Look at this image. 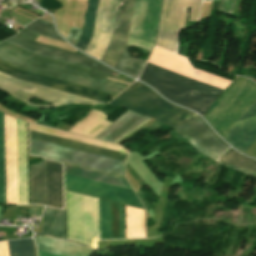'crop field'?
<instances>
[{"mask_svg": "<svg viewBox=\"0 0 256 256\" xmlns=\"http://www.w3.org/2000/svg\"><path fill=\"white\" fill-rule=\"evenodd\" d=\"M0 72L4 73L10 77L59 90L65 93L97 101L106 104L108 100H105L109 94L98 92L95 90L87 89L49 77L41 76L31 72L17 69L6 63L0 61ZM0 73V89L24 100L28 105L36 107H56L63 104H69L71 102L77 104H100L62 92H58L52 89L20 81L17 79L10 78L4 74ZM37 98L46 102L52 103V105H39L29 100Z\"/></svg>", "mask_w": 256, "mask_h": 256, "instance_id": "obj_1", "label": "crop field"}, {"mask_svg": "<svg viewBox=\"0 0 256 256\" xmlns=\"http://www.w3.org/2000/svg\"><path fill=\"white\" fill-rule=\"evenodd\" d=\"M0 59L20 68L49 75L116 95L121 93L125 88L128 87V85H130L129 83L121 81L118 82L128 85L115 82L117 80L111 81L113 79L108 80L109 78H106L110 76L107 75L29 54L5 42L0 44Z\"/></svg>", "mask_w": 256, "mask_h": 256, "instance_id": "obj_2", "label": "crop field"}, {"mask_svg": "<svg viewBox=\"0 0 256 256\" xmlns=\"http://www.w3.org/2000/svg\"><path fill=\"white\" fill-rule=\"evenodd\" d=\"M140 80L157 89L169 100L202 116L224 90L185 78L147 63Z\"/></svg>", "mask_w": 256, "mask_h": 256, "instance_id": "obj_3", "label": "crop field"}, {"mask_svg": "<svg viewBox=\"0 0 256 256\" xmlns=\"http://www.w3.org/2000/svg\"><path fill=\"white\" fill-rule=\"evenodd\" d=\"M161 2L162 0H135L127 44L151 51L155 42ZM129 47L125 45L114 68L138 77L146 61L129 57Z\"/></svg>", "mask_w": 256, "mask_h": 256, "instance_id": "obj_4", "label": "crop field"}, {"mask_svg": "<svg viewBox=\"0 0 256 256\" xmlns=\"http://www.w3.org/2000/svg\"><path fill=\"white\" fill-rule=\"evenodd\" d=\"M156 119L170 127H175L196 114L174 106L150 88L135 82L111 103Z\"/></svg>", "mask_w": 256, "mask_h": 256, "instance_id": "obj_5", "label": "crop field"}, {"mask_svg": "<svg viewBox=\"0 0 256 256\" xmlns=\"http://www.w3.org/2000/svg\"><path fill=\"white\" fill-rule=\"evenodd\" d=\"M255 99L256 84L247 78L240 77L214 103L204 118L224 137Z\"/></svg>", "mask_w": 256, "mask_h": 256, "instance_id": "obj_6", "label": "crop field"}, {"mask_svg": "<svg viewBox=\"0 0 256 256\" xmlns=\"http://www.w3.org/2000/svg\"><path fill=\"white\" fill-rule=\"evenodd\" d=\"M68 240L96 247L98 199L66 191Z\"/></svg>", "mask_w": 256, "mask_h": 256, "instance_id": "obj_7", "label": "crop field"}, {"mask_svg": "<svg viewBox=\"0 0 256 256\" xmlns=\"http://www.w3.org/2000/svg\"><path fill=\"white\" fill-rule=\"evenodd\" d=\"M30 154L124 177L125 162L30 139Z\"/></svg>", "mask_w": 256, "mask_h": 256, "instance_id": "obj_8", "label": "crop field"}, {"mask_svg": "<svg viewBox=\"0 0 256 256\" xmlns=\"http://www.w3.org/2000/svg\"><path fill=\"white\" fill-rule=\"evenodd\" d=\"M191 2L189 20H197L201 0H164L155 44L175 52L178 29L184 28Z\"/></svg>", "mask_w": 256, "mask_h": 256, "instance_id": "obj_9", "label": "crop field"}, {"mask_svg": "<svg viewBox=\"0 0 256 256\" xmlns=\"http://www.w3.org/2000/svg\"><path fill=\"white\" fill-rule=\"evenodd\" d=\"M173 129L197 151L213 159H217L228 148L198 115Z\"/></svg>", "mask_w": 256, "mask_h": 256, "instance_id": "obj_10", "label": "crop field"}, {"mask_svg": "<svg viewBox=\"0 0 256 256\" xmlns=\"http://www.w3.org/2000/svg\"><path fill=\"white\" fill-rule=\"evenodd\" d=\"M65 189L143 207L131 189L64 173Z\"/></svg>", "mask_w": 256, "mask_h": 256, "instance_id": "obj_11", "label": "crop field"}, {"mask_svg": "<svg viewBox=\"0 0 256 256\" xmlns=\"http://www.w3.org/2000/svg\"><path fill=\"white\" fill-rule=\"evenodd\" d=\"M6 42L25 49L29 52L36 53L39 55L47 56L57 60L65 61L82 67L90 68L100 72L111 74V69L105 67L104 65L98 63L97 61L81 54L70 52L67 50L59 49L49 45L41 44L33 41L29 38L17 34ZM116 73V72H114ZM118 74V73H117Z\"/></svg>", "mask_w": 256, "mask_h": 256, "instance_id": "obj_12", "label": "crop field"}, {"mask_svg": "<svg viewBox=\"0 0 256 256\" xmlns=\"http://www.w3.org/2000/svg\"><path fill=\"white\" fill-rule=\"evenodd\" d=\"M118 0H100L93 37L86 53L101 59L112 36Z\"/></svg>", "mask_w": 256, "mask_h": 256, "instance_id": "obj_13", "label": "crop field"}, {"mask_svg": "<svg viewBox=\"0 0 256 256\" xmlns=\"http://www.w3.org/2000/svg\"><path fill=\"white\" fill-rule=\"evenodd\" d=\"M133 6L134 0H119L112 40L102 58L113 67L128 38Z\"/></svg>", "mask_w": 256, "mask_h": 256, "instance_id": "obj_14", "label": "crop field"}, {"mask_svg": "<svg viewBox=\"0 0 256 256\" xmlns=\"http://www.w3.org/2000/svg\"><path fill=\"white\" fill-rule=\"evenodd\" d=\"M255 137L256 101L241 115L224 138L244 153Z\"/></svg>", "mask_w": 256, "mask_h": 256, "instance_id": "obj_15", "label": "crop field"}, {"mask_svg": "<svg viewBox=\"0 0 256 256\" xmlns=\"http://www.w3.org/2000/svg\"><path fill=\"white\" fill-rule=\"evenodd\" d=\"M149 119L150 118L129 110L114 121L96 138L116 143Z\"/></svg>", "mask_w": 256, "mask_h": 256, "instance_id": "obj_16", "label": "crop field"}, {"mask_svg": "<svg viewBox=\"0 0 256 256\" xmlns=\"http://www.w3.org/2000/svg\"><path fill=\"white\" fill-rule=\"evenodd\" d=\"M19 204H28L26 123L17 119Z\"/></svg>", "mask_w": 256, "mask_h": 256, "instance_id": "obj_17", "label": "crop field"}, {"mask_svg": "<svg viewBox=\"0 0 256 256\" xmlns=\"http://www.w3.org/2000/svg\"><path fill=\"white\" fill-rule=\"evenodd\" d=\"M47 205L63 208L62 164L46 160Z\"/></svg>", "mask_w": 256, "mask_h": 256, "instance_id": "obj_18", "label": "crop field"}, {"mask_svg": "<svg viewBox=\"0 0 256 256\" xmlns=\"http://www.w3.org/2000/svg\"><path fill=\"white\" fill-rule=\"evenodd\" d=\"M30 138L48 142V143H52V144L69 147V148H73V149H78V150H82V151H86V152H90V153H94V154H98V155H103V156H107V157H111V158H115V159H119V160H123V161H125V159L127 157V154H123V153H119V152H115V151H111V150H107V149H103V148H99V147H95V146H91V145H87V144H83V143H79V142H75V141H71V140H67V139H63V138H59V137L31 131V130H30Z\"/></svg>", "mask_w": 256, "mask_h": 256, "instance_id": "obj_19", "label": "crop field"}, {"mask_svg": "<svg viewBox=\"0 0 256 256\" xmlns=\"http://www.w3.org/2000/svg\"><path fill=\"white\" fill-rule=\"evenodd\" d=\"M38 250L60 255V256H90L94 249L54 240L50 238L35 236Z\"/></svg>", "mask_w": 256, "mask_h": 256, "instance_id": "obj_20", "label": "crop field"}, {"mask_svg": "<svg viewBox=\"0 0 256 256\" xmlns=\"http://www.w3.org/2000/svg\"><path fill=\"white\" fill-rule=\"evenodd\" d=\"M31 204L46 205L45 160L29 166Z\"/></svg>", "mask_w": 256, "mask_h": 256, "instance_id": "obj_21", "label": "crop field"}, {"mask_svg": "<svg viewBox=\"0 0 256 256\" xmlns=\"http://www.w3.org/2000/svg\"><path fill=\"white\" fill-rule=\"evenodd\" d=\"M42 233L66 239L65 209L46 207Z\"/></svg>", "mask_w": 256, "mask_h": 256, "instance_id": "obj_22", "label": "crop field"}, {"mask_svg": "<svg viewBox=\"0 0 256 256\" xmlns=\"http://www.w3.org/2000/svg\"><path fill=\"white\" fill-rule=\"evenodd\" d=\"M100 239L111 238V204L99 199ZM120 238H124L123 205L119 204Z\"/></svg>", "mask_w": 256, "mask_h": 256, "instance_id": "obj_23", "label": "crop field"}, {"mask_svg": "<svg viewBox=\"0 0 256 256\" xmlns=\"http://www.w3.org/2000/svg\"><path fill=\"white\" fill-rule=\"evenodd\" d=\"M64 172L82 176V177H86V178H90V179H94V180H99V181L115 184V185H119V186H123V187H127V188H131V186L126 181V179L99 173V172H94V171H90V170H86V169H82V168H78V167H74V166H70V165H66V164H64Z\"/></svg>", "mask_w": 256, "mask_h": 256, "instance_id": "obj_24", "label": "crop field"}, {"mask_svg": "<svg viewBox=\"0 0 256 256\" xmlns=\"http://www.w3.org/2000/svg\"><path fill=\"white\" fill-rule=\"evenodd\" d=\"M225 165L242 170L256 176V160L247 158L229 149L225 155L219 160ZM249 174V175H250Z\"/></svg>", "mask_w": 256, "mask_h": 256, "instance_id": "obj_25", "label": "crop field"}, {"mask_svg": "<svg viewBox=\"0 0 256 256\" xmlns=\"http://www.w3.org/2000/svg\"><path fill=\"white\" fill-rule=\"evenodd\" d=\"M99 0H89L87 13L85 17V25H84V31L83 35L81 36L78 44L76 47L81 49L82 51H85L88 42L92 36L97 8H98Z\"/></svg>", "mask_w": 256, "mask_h": 256, "instance_id": "obj_26", "label": "crop field"}, {"mask_svg": "<svg viewBox=\"0 0 256 256\" xmlns=\"http://www.w3.org/2000/svg\"><path fill=\"white\" fill-rule=\"evenodd\" d=\"M0 204H6L3 113L0 112Z\"/></svg>", "mask_w": 256, "mask_h": 256, "instance_id": "obj_27", "label": "crop field"}, {"mask_svg": "<svg viewBox=\"0 0 256 256\" xmlns=\"http://www.w3.org/2000/svg\"><path fill=\"white\" fill-rule=\"evenodd\" d=\"M10 256H34L33 239L8 241Z\"/></svg>", "mask_w": 256, "mask_h": 256, "instance_id": "obj_28", "label": "crop field"}, {"mask_svg": "<svg viewBox=\"0 0 256 256\" xmlns=\"http://www.w3.org/2000/svg\"><path fill=\"white\" fill-rule=\"evenodd\" d=\"M26 28L35 31L43 36L64 41L57 35L52 24L45 22L41 19L34 21L33 23L26 26Z\"/></svg>", "mask_w": 256, "mask_h": 256, "instance_id": "obj_29", "label": "crop field"}, {"mask_svg": "<svg viewBox=\"0 0 256 256\" xmlns=\"http://www.w3.org/2000/svg\"><path fill=\"white\" fill-rule=\"evenodd\" d=\"M234 4H235V0H221L218 11H223L227 14L232 15Z\"/></svg>", "mask_w": 256, "mask_h": 256, "instance_id": "obj_30", "label": "crop field"}, {"mask_svg": "<svg viewBox=\"0 0 256 256\" xmlns=\"http://www.w3.org/2000/svg\"><path fill=\"white\" fill-rule=\"evenodd\" d=\"M80 34H81V29L70 27V32L66 39L75 45Z\"/></svg>", "mask_w": 256, "mask_h": 256, "instance_id": "obj_31", "label": "crop field"}, {"mask_svg": "<svg viewBox=\"0 0 256 256\" xmlns=\"http://www.w3.org/2000/svg\"><path fill=\"white\" fill-rule=\"evenodd\" d=\"M20 33H22V34H24V35H26V36L34 39V40H36L37 37L39 36V34H37L35 32H32V31H30V30H28L26 28H24L22 31H20Z\"/></svg>", "mask_w": 256, "mask_h": 256, "instance_id": "obj_32", "label": "crop field"}, {"mask_svg": "<svg viewBox=\"0 0 256 256\" xmlns=\"http://www.w3.org/2000/svg\"><path fill=\"white\" fill-rule=\"evenodd\" d=\"M42 209H43V206H41V205H34V206H31V208H30V214L41 215Z\"/></svg>", "mask_w": 256, "mask_h": 256, "instance_id": "obj_33", "label": "crop field"}, {"mask_svg": "<svg viewBox=\"0 0 256 256\" xmlns=\"http://www.w3.org/2000/svg\"><path fill=\"white\" fill-rule=\"evenodd\" d=\"M39 256H55V255H51V254H47V253H43V252H39Z\"/></svg>", "mask_w": 256, "mask_h": 256, "instance_id": "obj_34", "label": "crop field"}, {"mask_svg": "<svg viewBox=\"0 0 256 256\" xmlns=\"http://www.w3.org/2000/svg\"><path fill=\"white\" fill-rule=\"evenodd\" d=\"M183 46L184 45H181V46L178 47L177 53L180 54V55L182 54Z\"/></svg>", "mask_w": 256, "mask_h": 256, "instance_id": "obj_35", "label": "crop field"}]
</instances>
